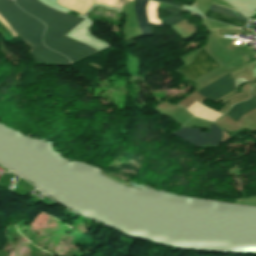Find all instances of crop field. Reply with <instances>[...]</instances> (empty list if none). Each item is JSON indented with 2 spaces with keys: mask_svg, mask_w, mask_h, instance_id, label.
I'll return each instance as SVG.
<instances>
[{
  "mask_svg": "<svg viewBox=\"0 0 256 256\" xmlns=\"http://www.w3.org/2000/svg\"><path fill=\"white\" fill-rule=\"evenodd\" d=\"M26 12L45 23L47 30L43 43L48 48L66 56L70 61L97 52V50L64 36L83 19L54 11L38 0H15Z\"/></svg>",
  "mask_w": 256,
  "mask_h": 256,
  "instance_id": "8a807250",
  "label": "crop field"
},
{
  "mask_svg": "<svg viewBox=\"0 0 256 256\" xmlns=\"http://www.w3.org/2000/svg\"><path fill=\"white\" fill-rule=\"evenodd\" d=\"M0 15L31 49L29 53L37 62L69 64L66 57L43 46L41 35L45 26L20 10L13 0H0Z\"/></svg>",
  "mask_w": 256,
  "mask_h": 256,
  "instance_id": "ac0d7876",
  "label": "crop field"
},
{
  "mask_svg": "<svg viewBox=\"0 0 256 256\" xmlns=\"http://www.w3.org/2000/svg\"><path fill=\"white\" fill-rule=\"evenodd\" d=\"M209 130L210 132L200 133L199 129L181 127L172 133L198 146H217L222 137L220 128L213 124Z\"/></svg>",
  "mask_w": 256,
  "mask_h": 256,
  "instance_id": "34b2d1b8",
  "label": "crop field"
},
{
  "mask_svg": "<svg viewBox=\"0 0 256 256\" xmlns=\"http://www.w3.org/2000/svg\"><path fill=\"white\" fill-rule=\"evenodd\" d=\"M219 67V65L201 48L194 61L179 69L191 80Z\"/></svg>",
  "mask_w": 256,
  "mask_h": 256,
  "instance_id": "412701ff",
  "label": "crop field"
},
{
  "mask_svg": "<svg viewBox=\"0 0 256 256\" xmlns=\"http://www.w3.org/2000/svg\"><path fill=\"white\" fill-rule=\"evenodd\" d=\"M232 90L233 79L229 74L197 93L214 102Z\"/></svg>",
  "mask_w": 256,
  "mask_h": 256,
  "instance_id": "f4fd0767",
  "label": "crop field"
},
{
  "mask_svg": "<svg viewBox=\"0 0 256 256\" xmlns=\"http://www.w3.org/2000/svg\"><path fill=\"white\" fill-rule=\"evenodd\" d=\"M209 10L219 12V13H223V14H226L228 16L238 18V19H241V20H245V21L248 20L236 11L229 10V9H226V8H223V7H220V6H216V5H213V4H211ZM210 11H207L204 14L209 19L225 22V23H228L232 26H237V27H243L244 24H245V21H241V20H238V19L228 17V16L223 15V14L214 13V12H210Z\"/></svg>",
  "mask_w": 256,
  "mask_h": 256,
  "instance_id": "dd49c442",
  "label": "crop field"
},
{
  "mask_svg": "<svg viewBox=\"0 0 256 256\" xmlns=\"http://www.w3.org/2000/svg\"><path fill=\"white\" fill-rule=\"evenodd\" d=\"M146 3V0H135V14L137 17L141 36L153 34L148 24L145 12Z\"/></svg>",
  "mask_w": 256,
  "mask_h": 256,
  "instance_id": "e52e79f7",
  "label": "crop field"
},
{
  "mask_svg": "<svg viewBox=\"0 0 256 256\" xmlns=\"http://www.w3.org/2000/svg\"><path fill=\"white\" fill-rule=\"evenodd\" d=\"M256 108V97L252 96L249 101L235 105L226 115L235 122L245 113Z\"/></svg>",
  "mask_w": 256,
  "mask_h": 256,
  "instance_id": "d8731c3e",
  "label": "crop field"
},
{
  "mask_svg": "<svg viewBox=\"0 0 256 256\" xmlns=\"http://www.w3.org/2000/svg\"><path fill=\"white\" fill-rule=\"evenodd\" d=\"M163 10L166 11L167 13H169L170 15H172L173 17L161 20L160 22L162 25L172 26V25L184 20V18L180 14L185 11H183L177 7L164 8Z\"/></svg>",
  "mask_w": 256,
  "mask_h": 256,
  "instance_id": "5a996713",
  "label": "crop field"
},
{
  "mask_svg": "<svg viewBox=\"0 0 256 256\" xmlns=\"http://www.w3.org/2000/svg\"><path fill=\"white\" fill-rule=\"evenodd\" d=\"M156 1L164 2V3L171 4V5H174V6H177V7L181 8V5L175 4V3H172V2H168V1H165V0H156Z\"/></svg>",
  "mask_w": 256,
  "mask_h": 256,
  "instance_id": "3316defc",
  "label": "crop field"
},
{
  "mask_svg": "<svg viewBox=\"0 0 256 256\" xmlns=\"http://www.w3.org/2000/svg\"><path fill=\"white\" fill-rule=\"evenodd\" d=\"M229 27H231V26H229ZM234 28V27H233Z\"/></svg>",
  "mask_w": 256,
  "mask_h": 256,
  "instance_id": "28ad6ade",
  "label": "crop field"
}]
</instances>
